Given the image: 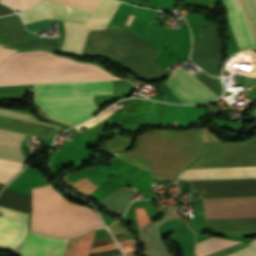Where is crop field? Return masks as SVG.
<instances>
[{"label":"crop field","mask_w":256,"mask_h":256,"mask_svg":"<svg viewBox=\"0 0 256 256\" xmlns=\"http://www.w3.org/2000/svg\"><path fill=\"white\" fill-rule=\"evenodd\" d=\"M103 94H112L111 81L34 85L35 105L72 125L93 116V95Z\"/></svg>","instance_id":"4"},{"label":"crop field","mask_w":256,"mask_h":256,"mask_svg":"<svg viewBox=\"0 0 256 256\" xmlns=\"http://www.w3.org/2000/svg\"><path fill=\"white\" fill-rule=\"evenodd\" d=\"M119 5L120 2L114 0H98L91 14L74 6L45 0L19 15L27 24L43 19L85 22L91 14L85 23L63 22L66 37L61 50L80 54L89 30L105 29Z\"/></svg>","instance_id":"5"},{"label":"crop field","mask_w":256,"mask_h":256,"mask_svg":"<svg viewBox=\"0 0 256 256\" xmlns=\"http://www.w3.org/2000/svg\"><path fill=\"white\" fill-rule=\"evenodd\" d=\"M207 225L221 232L256 231V218L206 220Z\"/></svg>","instance_id":"16"},{"label":"crop field","mask_w":256,"mask_h":256,"mask_svg":"<svg viewBox=\"0 0 256 256\" xmlns=\"http://www.w3.org/2000/svg\"><path fill=\"white\" fill-rule=\"evenodd\" d=\"M40 0H0V2L10 6L11 8L19 11H23L32 5L36 4Z\"/></svg>","instance_id":"23"},{"label":"crop field","mask_w":256,"mask_h":256,"mask_svg":"<svg viewBox=\"0 0 256 256\" xmlns=\"http://www.w3.org/2000/svg\"><path fill=\"white\" fill-rule=\"evenodd\" d=\"M13 12L14 11L10 10L6 6L0 4V16L10 14V13H13Z\"/></svg>","instance_id":"28"},{"label":"crop field","mask_w":256,"mask_h":256,"mask_svg":"<svg viewBox=\"0 0 256 256\" xmlns=\"http://www.w3.org/2000/svg\"><path fill=\"white\" fill-rule=\"evenodd\" d=\"M0 212L4 213L2 216L27 223V214L15 212L3 207H0Z\"/></svg>","instance_id":"25"},{"label":"crop field","mask_w":256,"mask_h":256,"mask_svg":"<svg viewBox=\"0 0 256 256\" xmlns=\"http://www.w3.org/2000/svg\"><path fill=\"white\" fill-rule=\"evenodd\" d=\"M163 82L183 103H207L218 98L217 95L191 76L185 69L173 74Z\"/></svg>","instance_id":"10"},{"label":"crop field","mask_w":256,"mask_h":256,"mask_svg":"<svg viewBox=\"0 0 256 256\" xmlns=\"http://www.w3.org/2000/svg\"><path fill=\"white\" fill-rule=\"evenodd\" d=\"M200 40H193L191 61L215 78L222 63V44L217 25L199 26Z\"/></svg>","instance_id":"9"},{"label":"crop field","mask_w":256,"mask_h":256,"mask_svg":"<svg viewBox=\"0 0 256 256\" xmlns=\"http://www.w3.org/2000/svg\"><path fill=\"white\" fill-rule=\"evenodd\" d=\"M22 167L23 164L0 159V183L6 184ZM3 184H0V191L4 186Z\"/></svg>","instance_id":"19"},{"label":"crop field","mask_w":256,"mask_h":256,"mask_svg":"<svg viewBox=\"0 0 256 256\" xmlns=\"http://www.w3.org/2000/svg\"><path fill=\"white\" fill-rule=\"evenodd\" d=\"M220 2L227 8L231 27L240 49L255 46L238 0H222Z\"/></svg>","instance_id":"12"},{"label":"crop field","mask_w":256,"mask_h":256,"mask_svg":"<svg viewBox=\"0 0 256 256\" xmlns=\"http://www.w3.org/2000/svg\"><path fill=\"white\" fill-rule=\"evenodd\" d=\"M237 243L240 242L211 237L196 244V256H206L231 247Z\"/></svg>","instance_id":"17"},{"label":"crop field","mask_w":256,"mask_h":256,"mask_svg":"<svg viewBox=\"0 0 256 256\" xmlns=\"http://www.w3.org/2000/svg\"><path fill=\"white\" fill-rule=\"evenodd\" d=\"M60 42L61 40H55V39H38V40L8 44L6 46L18 47V48H24V49L48 48V49L59 50Z\"/></svg>","instance_id":"18"},{"label":"crop field","mask_w":256,"mask_h":256,"mask_svg":"<svg viewBox=\"0 0 256 256\" xmlns=\"http://www.w3.org/2000/svg\"><path fill=\"white\" fill-rule=\"evenodd\" d=\"M54 1L79 6L83 9H87V10H91V11L93 10V8L97 2V0H54Z\"/></svg>","instance_id":"24"},{"label":"crop field","mask_w":256,"mask_h":256,"mask_svg":"<svg viewBox=\"0 0 256 256\" xmlns=\"http://www.w3.org/2000/svg\"><path fill=\"white\" fill-rule=\"evenodd\" d=\"M0 116L10 117V118H14V119H19V120H24V121H28V122H33V123H38V124H42V125H47V126L59 128L58 130L52 132V134H50L48 136V139H50V137L55 132L64 129V127L55 126V125H52V124H49V123L41 122L35 116L28 115V114H23V113H18V112H14V111H9V110H5V109H0Z\"/></svg>","instance_id":"21"},{"label":"crop field","mask_w":256,"mask_h":256,"mask_svg":"<svg viewBox=\"0 0 256 256\" xmlns=\"http://www.w3.org/2000/svg\"><path fill=\"white\" fill-rule=\"evenodd\" d=\"M16 51L17 50H15V49H9V48L0 47V64L3 62V60L6 57L10 56L11 54L15 53Z\"/></svg>","instance_id":"27"},{"label":"crop field","mask_w":256,"mask_h":256,"mask_svg":"<svg viewBox=\"0 0 256 256\" xmlns=\"http://www.w3.org/2000/svg\"><path fill=\"white\" fill-rule=\"evenodd\" d=\"M120 79L94 64L46 51L15 53L0 66V85Z\"/></svg>","instance_id":"2"},{"label":"crop field","mask_w":256,"mask_h":256,"mask_svg":"<svg viewBox=\"0 0 256 256\" xmlns=\"http://www.w3.org/2000/svg\"><path fill=\"white\" fill-rule=\"evenodd\" d=\"M249 247L230 256H256V240L247 244Z\"/></svg>","instance_id":"26"},{"label":"crop field","mask_w":256,"mask_h":256,"mask_svg":"<svg viewBox=\"0 0 256 256\" xmlns=\"http://www.w3.org/2000/svg\"><path fill=\"white\" fill-rule=\"evenodd\" d=\"M104 227L92 210L65 201L51 185L32 189L31 229L59 237H76Z\"/></svg>","instance_id":"3"},{"label":"crop field","mask_w":256,"mask_h":256,"mask_svg":"<svg viewBox=\"0 0 256 256\" xmlns=\"http://www.w3.org/2000/svg\"><path fill=\"white\" fill-rule=\"evenodd\" d=\"M193 76H195L199 81H201L204 85H206L209 89H211L218 96L220 95L221 87H220L219 80H213L212 78H210L208 75H206L201 70L194 73Z\"/></svg>","instance_id":"22"},{"label":"crop field","mask_w":256,"mask_h":256,"mask_svg":"<svg viewBox=\"0 0 256 256\" xmlns=\"http://www.w3.org/2000/svg\"><path fill=\"white\" fill-rule=\"evenodd\" d=\"M159 51L124 29L90 31L83 52L114 58L137 75L157 79L168 71L152 59Z\"/></svg>","instance_id":"6"},{"label":"crop field","mask_w":256,"mask_h":256,"mask_svg":"<svg viewBox=\"0 0 256 256\" xmlns=\"http://www.w3.org/2000/svg\"><path fill=\"white\" fill-rule=\"evenodd\" d=\"M26 135L0 129V153L23 157L19 146ZM0 154V158L23 163V158Z\"/></svg>","instance_id":"14"},{"label":"crop field","mask_w":256,"mask_h":256,"mask_svg":"<svg viewBox=\"0 0 256 256\" xmlns=\"http://www.w3.org/2000/svg\"><path fill=\"white\" fill-rule=\"evenodd\" d=\"M200 129L188 131L151 130L138 135L131 151L114 154L121 159L152 171V178L176 180L200 153Z\"/></svg>","instance_id":"1"},{"label":"crop field","mask_w":256,"mask_h":256,"mask_svg":"<svg viewBox=\"0 0 256 256\" xmlns=\"http://www.w3.org/2000/svg\"><path fill=\"white\" fill-rule=\"evenodd\" d=\"M27 233V224L0 217V245L14 248Z\"/></svg>","instance_id":"13"},{"label":"crop field","mask_w":256,"mask_h":256,"mask_svg":"<svg viewBox=\"0 0 256 256\" xmlns=\"http://www.w3.org/2000/svg\"><path fill=\"white\" fill-rule=\"evenodd\" d=\"M256 167L185 170L179 178L187 180L251 178ZM193 190H205L202 199L256 197V178L190 181Z\"/></svg>","instance_id":"7"},{"label":"crop field","mask_w":256,"mask_h":256,"mask_svg":"<svg viewBox=\"0 0 256 256\" xmlns=\"http://www.w3.org/2000/svg\"><path fill=\"white\" fill-rule=\"evenodd\" d=\"M256 41V0H239Z\"/></svg>","instance_id":"20"},{"label":"crop field","mask_w":256,"mask_h":256,"mask_svg":"<svg viewBox=\"0 0 256 256\" xmlns=\"http://www.w3.org/2000/svg\"><path fill=\"white\" fill-rule=\"evenodd\" d=\"M0 36L3 44L27 40L18 15L0 18Z\"/></svg>","instance_id":"15"},{"label":"crop field","mask_w":256,"mask_h":256,"mask_svg":"<svg viewBox=\"0 0 256 256\" xmlns=\"http://www.w3.org/2000/svg\"><path fill=\"white\" fill-rule=\"evenodd\" d=\"M256 166V137L239 143L204 144L202 155L188 169Z\"/></svg>","instance_id":"8"},{"label":"crop field","mask_w":256,"mask_h":256,"mask_svg":"<svg viewBox=\"0 0 256 256\" xmlns=\"http://www.w3.org/2000/svg\"><path fill=\"white\" fill-rule=\"evenodd\" d=\"M68 240L29 232L22 243L20 254L21 256H62Z\"/></svg>","instance_id":"11"}]
</instances>
